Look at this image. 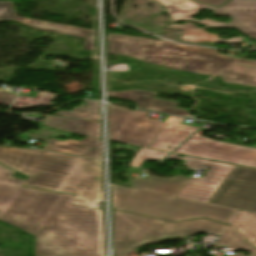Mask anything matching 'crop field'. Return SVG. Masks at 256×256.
<instances>
[{
    "label": "crop field",
    "instance_id": "8a807250",
    "mask_svg": "<svg viewBox=\"0 0 256 256\" xmlns=\"http://www.w3.org/2000/svg\"><path fill=\"white\" fill-rule=\"evenodd\" d=\"M0 220L37 236L34 256H105V227L97 202L103 198L101 162L45 150L0 147Z\"/></svg>",
    "mask_w": 256,
    "mask_h": 256
},
{
    "label": "crop field",
    "instance_id": "ac0d7876",
    "mask_svg": "<svg viewBox=\"0 0 256 256\" xmlns=\"http://www.w3.org/2000/svg\"><path fill=\"white\" fill-rule=\"evenodd\" d=\"M112 54L129 56L147 63L202 75H218L223 82L256 87V62L220 56L200 47H187L167 41L111 34Z\"/></svg>",
    "mask_w": 256,
    "mask_h": 256
},
{
    "label": "crop field",
    "instance_id": "34b2d1b8",
    "mask_svg": "<svg viewBox=\"0 0 256 256\" xmlns=\"http://www.w3.org/2000/svg\"><path fill=\"white\" fill-rule=\"evenodd\" d=\"M188 179L148 175L132 179L133 189L111 184L113 208L167 221L205 217L230 225L238 210L175 198Z\"/></svg>",
    "mask_w": 256,
    "mask_h": 256
},
{
    "label": "crop field",
    "instance_id": "412701ff",
    "mask_svg": "<svg viewBox=\"0 0 256 256\" xmlns=\"http://www.w3.org/2000/svg\"><path fill=\"white\" fill-rule=\"evenodd\" d=\"M226 228L227 225L205 219L168 223L114 212V256H130L134 247L151 242L181 239L192 234L210 233L221 236Z\"/></svg>",
    "mask_w": 256,
    "mask_h": 256
},
{
    "label": "crop field",
    "instance_id": "f4fd0767",
    "mask_svg": "<svg viewBox=\"0 0 256 256\" xmlns=\"http://www.w3.org/2000/svg\"><path fill=\"white\" fill-rule=\"evenodd\" d=\"M147 111L109 105L111 141L148 148L163 122L146 118Z\"/></svg>",
    "mask_w": 256,
    "mask_h": 256
},
{
    "label": "crop field",
    "instance_id": "dd49c442",
    "mask_svg": "<svg viewBox=\"0 0 256 256\" xmlns=\"http://www.w3.org/2000/svg\"><path fill=\"white\" fill-rule=\"evenodd\" d=\"M207 203L256 212V170L236 166Z\"/></svg>",
    "mask_w": 256,
    "mask_h": 256
},
{
    "label": "crop field",
    "instance_id": "e52e79f7",
    "mask_svg": "<svg viewBox=\"0 0 256 256\" xmlns=\"http://www.w3.org/2000/svg\"><path fill=\"white\" fill-rule=\"evenodd\" d=\"M161 4H163L168 13L171 15L172 21L179 20H190L192 22H196L202 25H206L209 27H232L228 24L218 23L212 20L204 19L199 22L193 18L196 13H198L203 8H207L215 11L216 8L200 4L190 0H155ZM168 27L178 28L185 32L184 35L181 36L182 40L189 42H215V43H241L243 37L232 38L229 40H221L218 38V35H212L204 29H197L196 25L191 23H185L184 25H170Z\"/></svg>",
    "mask_w": 256,
    "mask_h": 256
},
{
    "label": "crop field",
    "instance_id": "d8731c3e",
    "mask_svg": "<svg viewBox=\"0 0 256 256\" xmlns=\"http://www.w3.org/2000/svg\"><path fill=\"white\" fill-rule=\"evenodd\" d=\"M175 152L256 169V149L210 140L197 134Z\"/></svg>",
    "mask_w": 256,
    "mask_h": 256
},
{
    "label": "crop field",
    "instance_id": "5a996713",
    "mask_svg": "<svg viewBox=\"0 0 256 256\" xmlns=\"http://www.w3.org/2000/svg\"><path fill=\"white\" fill-rule=\"evenodd\" d=\"M178 154L172 153L167 158L187 160L184 163L189 169L198 170L201 165L211 167L203 178L191 177L176 197L191 199L206 203L214 194L223 180L227 177L235 165L220 163L185 156L177 157Z\"/></svg>",
    "mask_w": 256,
    "mask_h": 256
},
{
    "label": "crop field",
    "instance_id": "3316defc",
    "mask_svg": "<svg viewBox=\"0 0 256 256\" xmlns=\"http://www.w3.org/2000/svg\"><path fill=\"white\" fill-rule=\"evenodd\" d=\"M2 20L17 21L38 30L83 37L86 38L83 49L96 51L95 44L93 41L96 31L16 17L14 11L12 10L11 2H0V21Z\"/></svg>",
    "mask_w": 256,
    "mask_h": 256
},
{
    "label": "crop field",
    "instance_id": "28ad6ade",
    "mask_svg": "<svg viewBox=\"0 0 256 256\" xmlns=\"http://www.w3.org/2000/svg\"><path fill=\"white\" fill-rule=\"evenodd\" d=\"M213 14L232 16L230 25L256 39V0H231Z\"/></svg>",
    "mask_w": 256,
    "mask_h": 256
},
{
    "label": "crop field",
    "instance_id": "d1516ede",
    "mask_svg": "<svg viewBox=\"0 0 256 256\" xmlns=\"http://www.w3.org/2000/svg\"><path fill=\"white\" fill-rule=\"evenodd\" d=\"M182 120L183 118L168 116L150 148L171 152L178 144L198 129L196 127L180 125ZM168 145L173 147L171 149L166 148Z\"/></svg>",
    "mask_w": 256,
    "mask_h": 256
},
{
    "label": "crop field",
    "instance_id": "22f410ed",
    "mask_svg": "<svg viewBox=\"0 0 256 256\" xmlns=\"http://www.w3.org/2000/svg\"><path fill=\"white\" fill-rule=\"evenodd\" d=\"M154 95L155 93L139 89L122 92H108V96L134 101L140 106V108L173 113L182 116H185L188 113L186 111L174 109L177 103L153 99Z\"/></svg>",
    "mask_w": 256,
    "mask_h": 256
},
{
    "label": "crop field",
    "instance_id": "cbeb9de0",
    "mask_svg": "<svg viewBox=\"0 0 256 256\" xmlns=\"http://www.w3.org/2000/svg\"><path fill=\"white\" fill-rule=\"evenodd\" d=\"M44 149L95 159L101 158L100 140L89 137L85 138L81 142L71 139L66 141L52 139L47 142Z\"/></svg>",
    "mask_w": 256,
    "mask_h": 256
},
{
    "label": "crop field",
    "instance_id": "5142ce71",
    "mask_svg": "<svg viewBox=\"0 0 256 256\" xmlns=\"http://www.w3.org/2000/svg\"><path fill=\"white\" fill-rule=\"evenodd\" d=\"M44 125L100 139V123L48 116Z\"/></svg>",
    "mask_w": 256,
    "mask_h": 256
},
{
    "label": "crop field",
    "instance_id": "d9b57169",
    "mask_svg": "<svg viewBox=\"0 0 256 256\" xmlns=\"http://www.w3.org/2000/svg\"><path fill=\"white\" fill-rule=\"evenodd\" d=\"M231 226L256 247V214L240 211Z\"/></svg>",
    "mask_w": 256,
    "mask_h": 256
},
{
    "label": "crop field",
    "instance_id": "733c2abd",
    "mask_svg": "<svg viewBox=\"0 0 256 256\" xmlns=\"http://www.w3.org/2000/svg\"><path fill=\"white\" fill-rule=\"evenodd\" d=\"M215 246L228 245L235 250H244L251 252V256H256V249L250 246L240 234L231 226L225 230ZM228 256H242V255H228Z\"/></svg>",
    "mask_w": 256,
    "mask_h": 256
},
{
    "label": "crop field",
    "instance_id": "4a817a6b",
    "mask_svg": "<svg viewBox=\"0 0 256 256\" xmlns=\"http://www.w3.org/2000/svg\"><path fill=\"white\" fill-rule=\"evenodd\" d=\"M88 105L87 109L76 107L73 108L72 112L67 111H60L56 113V115H60L62 113V116L68 117V118H74V119H83V120H91V121H100V115H99V107L100 104L95 101L86 100L85 101ZM81 111L85 113H80Z\"/></svg>",
    "mask_w": 256,
    "mask_h": 256
},
{
    "label": "crop field",
    "instance_id": "bc2a9ffb",
    "mask_svg": "<svg viewBox=\"0 0 256 256\" xmlns=\"http://www.w3.org/2000/svg\"><path fill=\"white\" fill-rule=\"evenodd\" d=\"M55 98L54 95L39 92L35 99L18 96L12 109H25L34 106L47 105L50 106L49 102Z\"/></svg>",
    "mask_w": 256,
    "mask_h": 256
},
{
    "label": "crop field",
    "instance_id": "214f88e0",
    "mask_svg": "<svg viewBox=\"0 0 256 256\" xmlns=\"http://www.w3.org/2000/svg\"><path fill=\"white\" fill-rule=\"evenodd\" d=\"M167 154H169V153L140 148V150L138 151L137 155L133 159L131 165L140 167L141 163L144 160H161Z\"/></svg>",
    "mask_w": 256,
    "mask_h": 256
},
{
    "label": "crop field",
    "instance_id": "92a150f3",
    "mask_svg": "<svg viewBox=\"0 0 256 256\" xmlns=\"http://www.w3.org/2000/svg\"><path fill=\"white\" fill-rule=\"evenodd\" d=\"M16 98V94H10L0 91V104L12 105Z\"/></svg>",
    "mask_w": 256,
    "mask_h": 256
},
{
    "label": "crop field",
    "instance_id": "dafd665d",
    "mask_svg": "<svg viewBox=\"0 0 256 256\" xmlns=\"http://www.w3.org/2000/svg\"><path fill=\"white\" fill-rule=\"evenodd\" d=\"M197 1H201V2H204L206 4L219 7L220 5H222L227 0H197Z\"/></svg>",
    "mask_w": 256,
    "mask_h": 256
}]
</instances>
